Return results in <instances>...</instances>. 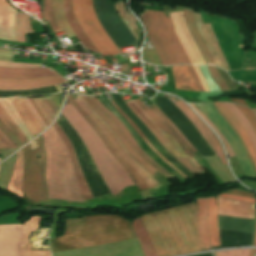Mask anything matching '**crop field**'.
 I'll list each match as a JSON object with an SVG mask.
<instances>
[{
	"label": "crop field",
	"instance_id": "obj_1",
	"mask_svg": "<svg viewBox=\"0 0 256 256\" xmlns=\"http://www.w3.org/2000/svg\"><path fill=\"white\" fill-rule=\"evenodd\" d=\"M158 256L205 250L197 230L196 203L140 216Z\"/></svg>",
	"mask_w": 256,
	"mask_h": 256
},
{
	"label": "crop field",
	"instance_id": "obj_2",
	"mask_svg": "<svg viewBox=\"0 0 256 256\" xmlns=\"http://www.w3.org/2000/svg\"><path fill=\"white\" fill-rule=\"evenodd\" d=\"M127 220L108 215L66 220L64 236L50 239L53 252L134 239Z\"/></svg>",
	"mask_w": 256,
	"mask_h": 256
},
{
	"label": "crop field",
	"instance_id": "obj_3",
	"mask_svg": "<svg viewBox=\"0 0 256 256\" xmlns=\"http://www.w3.org/2000/svg\"><path fill=\"white\" fill-rule=\"evenodd\" d=\"M61 113L82 138L112 194L119 193V191L127 186L135 185L128 173L116 161L95 131L70 103L64 106Z\"/></svg>",
	"mask_w": 256,
	"mask_h": 256
},
{
	"label": "crop field",
	"instance_id": "obj_4",
	"mask_svg": "<svg viewBox=\"0 0 256 256\" xmlns=\"http://www.w3.org/2000/svg\"><path fill=\"white\" fill-rule=\"evenodd\" d=\"M42 136L47 159L46 183L49 198L82 200L70 156L60 135L52 126Z\"/></svg>",
	"mask_w": 256,
	"mask_h": 256
},
{
	"label": "crop field",
	"instance_id": "obj_5",
	"mask_svg": "<svg viewBox=\"0 0 256 256\" xmlns=\"http://www.w3.org/2000/svg\"><path fill=\"white\" fill-rule=\"evenodd\" d=\"M140 16L147 28L148 39L163 65L191 64L169 17H165L163 12L147 9Z\"/></svg>",
	"mask_w": 256,
	"mask_h": 256
},
{
	"label": "crop field",
	"instance_id": "obj_6",
	"mask_svg": "<svg viewBox=\"0 0 256 256\" xmlns=\"http://www.w3.org/2000/svg\"><path fill=\"white\" fill-rule=\"evenodd\" d=\"M126 104L137 115V117L146 125V127L153 133V135L159 140L160 143L163 141H166V139L168 140L166 142H163V144L168 148V150L172 154L181 152V149H182L183 152L174 154V155H172L167 149L166 150L175 159L181 162L190 172L199 173V174H204L206 172L201 167H199L191 157V156H194L193 152L186 146V144L174 132V130L170 127V125L156 111L152 109V107H149V108L145 107L139 99L126 102ZM159 119L173 132V134L176 136V138L180 141V143L183 145V147L187 150V152L190 155L183 150V148L180 146V144L177 142V140L174 138L171 132ZM158 130L170 133L181 149L175 143V141L170 136V134L161 132L166 138L165 139Z\"/></svg>",
	"mask_w": 256,
	"mask_h": 256
},
{
	"label": "crop field",
	"instance_id": "obj_7",
	"mask_svg": "<svg viewBox=\"0 0 256 256\" xmlns=\"http://www.w3.org/2000/svg\"><path fill=\"white\" fill-rule=\"evenodd\" d=\"M39 148L32 151L29 145L23 148L24 172L22 190L24 191V201L38 205V200H47L44 183L45 157L42 147V138L35 139ZM38 154L41 158L38 159Z\"/></svg>",
	"mask_w": 256,
	"mask_h": 256
},
{
	"label": "crop field",
	"instance_id": "obj_8",
	"mask_svg": "<svg viewBox=\"0 0 256 256\" xmlns=\"http://www.w3.org/2000/svg\"><path fill=\"white\" fill-rule=\"evenodd\" d=\"M196 106L215 125V127L228 141L232 150L236 154L245 175L249 177H256V169L253 161L231 123L213 104Z\"/></svg>",
	"mask_w": 256,
	"mask_h": 256
},
{
	"label": "crop field",
	"instance_id": "obj_9",
	"mask_svg": "<svg viewBox=\"0 0 256 256\" xmlns=\"http://www.w3.org/2000/svg\"><path fill=\"white\" fill-rule=\"evenodd\" d=\"M39 217H32L25 226H0V256H26L24 235L26 237L27 256H51L49 251H30L28 235L37 229Z\"/></svg>",
	"mask_w": 256,
	"mask_h": 256
},
{
	"label": "crop field",
	"instance_id": "obj_10",
	"mask_svg": "<svg viewBox=\"0 0 256 256\" xmlns=\"http://www.w3.org/2000/svg\"><path fill=\"white\" fill-rule=\"evenodd\" d=\"M74 14L81 27L100 53L111 51L120 54L112 40L101 27L91 0H72Z\"/></svg>",
	"mask_w": 256,
	"mask_h": 256
},
{
	"label": "crop field",
	"instance_id": "obj_11",
	"mask_svg": "<svg viewBox=\"0 0 256 256\" xmlns=\"http://www.w3.org/2000/svg\"><path fill=\"white\" fill-rule=\"evenodd\" d=\"M94 7L103 28L118 48L138 45L119 19L111 0H94Z\"/></svg>",
	"mask_w": 256,
	"mask_h": 256
},
{
	"label": "crop field",
	"instance_id": "obj_12",
	"mask_svg": "<svg viewBox=\"0 0 256 256\" xmlns=\"http://www.w3.org/2000/svg\"><path fill=\"white\" fill-rule=\"evenodd\" d=\"M67 98L72 103V105L77 109V111L87 120V122L93 127L111 153L115 156V158L120 162V164L126 169V171L130 174L132 179L135 181L139 189H146L141 175L133 169L123 158V156L119 153V151L114 147V145L110 142V140L106 137V135L101 131V129L97 126V124L86 114V112L77 104V102L72 98L70 94H68Z\"/></svg>",
	"mask_w": 256,
	"mask_h": 256
},
{
	"label": "crop field",
	"instance_id": "obj_13",
	"mask_svg": "<svg viewBox=\"0 0 256 256\" xmlns=\"http://www.w3.org/2000/svg\"><path fill=\"white\" fill-rule=\"evenodd\" d=\"M80 106L87 112V114L98 124V126L102 129V131L107 135V137L111 140V142L115 145V147L120 151V153L124 156V158L128 161V163L134 167L143 177L145 180L146 185L148 188H152L157 183L142 167H140L123 149L115 135L111 132V130L104 124V122L90 109L88 108L82 99L78 96L75 99Z\"/></svg>",
	"mask_w": 256,
	"mask_h": 256
},
{
	"label": "crop field",
	"instance_id": "obj_14",
	"mask_svg": "<svg viewBox=\"0 0 256 256\" xmlns=\"http://www.w3.org/2000/svg\"><path fill=\"white\" fill-rule=\"evenodd\" d=\"M191 12L193 14L197 29L214 63L226 70H230L224 58V55L217 43V39L212 31L211 25L203 24L200 15L194 13L192 10Z\"/></svg>",
	"mask_w": 256,
	"mask_h": 256
},
{
	"label": "crop field",
	"instance_id": "obj_15",
	"mask_svg": "<svg viewBox=\"0 0 256 256\" xmlns=\"http://www.w3.org/2000/svg\"><path fill=\"white\" fill-rule=\"evenodd\" d=\"M170 17L175 28L176 34L180 41L182 42L191 63L205 64L199 50L197 49L195 43L193 42L187 30L183 12L170 13Z\"/></svg>",
	"mask_w": 256,
	"mask_h": 256
},
{
	"label": "crop field",
	"instance_id": "obj_16",
	"mask_svg": "<svg viewBox=\"0 0 256 256\" xmlns=\"http://www.w3.org/2000/svg\"><path fill=\"white\" fill-rule=\"evenodd\" d=\"M176 106H178L184 114L189 118V120L194 124V126L198 129L200 134L203 136V138L206 140V142L210 145V147L215 151V153L220 157L223 165H227L221 145L219 141L215 138V136L212 134V132L204 125V123L181 101L175 103Z\"/></svg>",
	"mask_w": 256,
	"mask_h": 256
},
{
	"label": "crop field",
	"instance_id": "obj_17",
	"mask_svg": "<svg viewBox=\"0 0 256 256\" xmlns=\"http://www.w3.org/2000/svg\"><path fill=\"white\" fill-rule=\"evenodd\" d=\"M64 79L60 76H53L43 79H32V80H14V79H0L1 90H21L45 87L55 84L64 83Z\"/></svg>",
	"mask_w": 256,
	"mask_h": 256
},
{
	"label": "crop field",
	"instance_id": "obj_18",
	"mask_svg": "<svg viewBox=\"0 0 256 256\" xmlns=\"http://www.w3.org/2000/svg\"><path fill=\"white\" fill-rule=\"evenodd\" d=\"M113 122L114 124L121 130V132L124 134V136L127 138L133 149L136 151V153L142 157L148 164L156 168L160 171L161 174H163L167 179L173 178L172 175H170L165 169H163L160 165H158L156 162H154L145 152H143L140 147L137 145V143L134 141V139L131 137V135L128 133L126 128L123 126V124L113 115L111 114L101 103L100 101L95 97L91 96L89 97ZM158 171V172H159Z\"/></svg>",
	"mask_w": 256,
	"mask_h": 256
},
{
	"label": "crop field",
	"instance_id": "obj_19",
	"mask_svg": "<svg viewBox=\"0 0 256 256\" xmlns=\"http://www.w3.org/2000/svg\"><path fill=\"white\" fill-rule=\"evenodd\" d=\"M218 215L254 219L255 205L217 198Z\"/></svg>",
	"mask_w": 256,
	"mask_h": 256
},
{
	"label": "crop field",
	"instance_id": "obj_20",
	"mask_svg": "<svg viewBox=\"0 0 256 256\" xmlns=\"http://www.w3.org/2000/svg\"><path fill=\"white\" fill-rule=\"evenodd\" d=\"M93 110L94 112L111 128V130L115 133L117 138L120 140L124 148L127 152L145 169L147 170L152 176L156 172L151 166H149L144 160H142L132 149L129 145L127 140L124 136L120 133L118 128L113 124V122L88 98V97H81Z\"/></svg>",
	"mask_w": 256,
	"mask_h": 256
},
{
	"label": "crop field",
	"instance_id": "obj_21",
	"mask_svg": "<svg viewBox=\"0 0 256 256\" xmlns=\"http://www.w3.org/2000/svg\"><path fill=\"white\" fill-rule=\"evenodd\" d=\"M16 12L6 0H0V39L16 41L15 17Z\"/></svg>",
	"mask_w": 256,
	"mask_h": 256
},
{
	"label": "crop field",
	"instance_id": "obj_22",
	"mask_svg": "<svg viewBox=\"0 0 256 256\" xmlns=\"http://www.w3.org/2000/svg\"><path fill=\"white\" fill-rule=\"evenodd\" d=\"M55 71L50 68L46 69H18L0 67V78H14V79H31L43 78L57 75Z\"/></svg>",
	"mask_w": 256,
	"mask_h": 256
},
{
	"label": "crop field",
	"instance_id": "obj_23",
	"mask_svg": "<svg viewBox=\"0 0 256 256\" xmlns=\"http://www.w3.org/2000/svg\"><path fill=\"white\" fill-rule=\"evenodd\" d=\"M55 129L58 131V133L61 135L66 147H67V150L71 156V160H72V164H73V168H74V172L76 174V177H77V181H78V184H79V188H80V191H81V194H82V197L83 199H90L92 198L91 197V194H90V191H89V188L83 178V175H82V172H81V169H80V166H79V163H78V160L75 156V153H74V150H73V147L69 141V139L66 137V135L63 133V131L60 129V127L57 125V123L55 122L54 125Z\"/></svg>",
	"mask_w": 256,
	"mask_h": 256
},
{
	"label": "crop field",
	"instance_id": "obj_24",
	"mask_svg": "<svg viewBox=\"0 0 256 256\" xmlns=\"http://www.w3.org/2000/svg\"><path fill=\"white\" fill-rule=\"evenodd\" d=\"M11 101L33 137L40 133L43 129L31 113L24 100L22 98H16L11 99Z\"/></svg>",
	"mask_w": 256,
	"mask_h": 256
},
{
	"label": "crop field",
	"instance_id": "obj_25",
	"mask_svg": "<svg viewBox=\"0 0 256 256\" xmlns=\"http://www.w3.org/2000/svg\"><path fill=\"white\" fill-rule=\"evenodd\" d=\"M62 10L67 19L69 26L76 34L78 40L83 44L84 48L98 52L96 48L93 46V44L90 42V40L87 38V36L84 34V32L81 30V28L79 27L74 17L73 11L71 9L70 0H62Z\"/></svg>",
	"mask_w": 256,
	"mask_h": 256
},
{
	"label": "crop field",
	"instance_id": "obj_26",
	"mask_svg": "<svg viewBox=\"0 0 256 256\" xmlns=\"http://www.w3.org/2000/svg\"><path fill=\"white\" fill-rule=\"evenodd\" d=\"M171 68L177 89L199 91L188 66H171Z\"/></svg>",
	"mask_w": 256,
	"mask_h": 256
},
{
	"label": "crop field",
	"instance_id": "obj_27",
	"mask_svg": "<svg viewBox=\"0 0 256 256\" xmlns=\"http://www.w3.org/2000/svg\"><path fill=\"white\" fill-rule=\"evenodd\" d=\"M214 105L224 113V115L230 120L235 129L238 131L256 165V153L246 131L243 129L231 111L222 102L215 103Z\"/></svg>",
	"mask_w": 256,
	"mask_h": 256
},
{
	"label": "crop field",
	"instance_id": "obj_28",
	"mask_svg": "<svg viewBox=\"0 0 256 256\" xmlns=\"http://www.w3.org/2000/svg\"><path fill=\"white\" fill-rule=\"evenodd\" d=\"M198 201V228L206 249L210 247L208 232V210L207 199H197Z\"/></svg>",
	"mask_w": 256,
	"mask_h": 256
},
{
	"label": "crop field",
	"instance_id": "obj_29",
	"mask_svg": "<svg viewBox=\"0 0 256 256\" xmlns=\"http://www.w3.org/2000/svg\"><path fill=\"white\" fill-rule=\"evenodd\" d=\"M254 220L218 216L219 229L252 232Z\"/></svg>",
	"mask_w": 256,
	"mask_h": 256
},
{
	"label": "crop field",
	"instance_id": "obj_30",
	"mask_svg": "<svg viewBox=\"0 0 256 256\" xmlns=\"http://www.w3.org/2000/svg\"><path fill=\"white\" fill-rule=\"evenodd\" d=\"M22 168H23V155L22 151L16 153V164L13 171L12 178L7 187V191L23 198L21 192V181H22Z\"/></svg>",
	"mask_w": 256,
	"mask_h": 256
},
{
	"label": "crop field",
	"instance_id": "obj_31",
	"mask_svg": "<svg viewBox=\"0 0 256 256\" xmlns=\"http://www.w3.org/2000/svg\"><path fill=\"white\" fill-rule=\"evenodd\" d=\"M183 8H184V14H185L188 29H189L197 47H198V49L200 50V52L202 54V56L205 60V63L214 65L213 61L211 60L203 42H202V39H201V37H200L196 27H195L193 17H192V14H191L190 10L188 8L184 7V6H183Z\"/></svg>",
	"mask_w": 256,
	"mask_h": 256
},
{
	"label": "crop field",
	"instance_id": "obj_32",
	"mask_svg": "<svg viewBox=\"0 0 256 256\" xmlns=\"http://www.w3.org/2000/svg\"><path fill=\"white\" fill-rule=\"evenodd\" d=\"M208 210H209V227H210V238L211 245L217 246L220 245L219 241V232L217 225V209H216V199H208Z\"/></svg>",
	"mask_w": 256,
	"mask_h": 256
},
{
	"label": "crop field",
	"instance_id": "obj_33",
	"mask_svg": "<svg viewBox=\"0 0 256 256\" xmlns=\"http://www.w3.org/2000/svg\"><path fill=\"white\" fill-rule=\"evenodd\" d=\"M133 228L135 230V233L138 237V240L140 242V245L145 256H157L139 218L135 219V221L133 222Z\"/></svg>",
	"mask_w": 256,
	"mask_h": 256
},
{
	"label": "crop field",
	"instance_id": "obj_34",
	"mask_svg": "<svg viewBox=\"0 0 256 256\" xmlns=\"http://www.w3.org/2000/svg\"><path fill=\"white\" fill-rule=\"evenodd\" d=\"M115 6L120 18L125 22V24L128 26V28L133 33L135 38L139 41L140 31L135 22L136 19L126 10V8L124 7L125 3L121 0L118 3H116Z\"/></svg>",
	"mask_w": 256,
	"mask_h": 256
},
{
	"label": "crop field",
	"instance_id": "obj_35",
	"mask_svg": "<svg viewBox=\"0 0 256 256\" xmlns=\"http://www.w3.org/2000/svg\"><path fill=\"white\" fill-rule=\"evenodd\" d=\"M34 33L29 16L18 11L16 18V37L17 41L25 42L24 34Z\"/></svg>",
	"mask_w": 256,
	"mask_h": 256
},
{
	"label": "crop field",
	"instance_id": "obj_36",
	"mask_svg": "<svg viewBox=\"0 0 256 256\" xmlns=\"http://www.w3.org/2000/svg\"><path fill=\"white\" fill-rule=\"evenodd\" d=\"M0 104L8 113V115L12 118V120L17 124V126L21 129L24 133L27 140L33 138L31 134L26 129L25 125L23 124L22 120L20 119L18 113L16 112L15 108L13 107L11 101L9 99H0Z\"/></svg>",
	"mask_w": 256,
	"mask_h": 256
},
{
	"label": "crop field",
	"instance_id": "obj_37",
	"mask_svg": "<svg viewBox=\"0 0 256 256\" xmlns=\"http://www.w3.org/2000/svg\"><path fill=\"white\" fill-rule=\"evenodd\" d=\"M53 13L55 15V18L63 30V33L66 35L67 38L74 37L73 32L69 28L63 14L61 11V0H53Z\"/></svg>",
	"mask_w": 256,
	"mask_h": 256
},
{
	"label": "crop field",
	"instance_id": "obj_38",
	"mask_svg": "<svg viewBox=\"0 0 256 256\" xmlns=\"http://www.w3.org/2000/svg\"><path fill=\"white\" fill-rule=\"evenodd\" d=\"M0 120L4 123V125L13 133V135L22 143H26V139L20 129L16 126V124L11 120V118L7 115V113L0 106Z\"/></svg>",
	"mask_w": 256,
	"mask_h": 256
},
{
	"label": "crop field",
	"instance_id": "obj_39",
	"mask_svg": "<svg viewBox=\"0 0 256 256\" xmlns=\"http://www.w3.org/2000/svg\"><path fill=\"white\" fill-rule=\"evenodd\" d=\"M232 112L233 114L237 117V119L239 120V122L242 124V126L245 128V130L248 132L250 139L256 149V135L253 131V129L251 128L249 122L246 120V118L240 113V111L236 108L235 105L233 104H228V103H224Z\"/></svg>",
	"mask_w": 256,
	"mask_h": 256
},
{
	"label": "crop field",
	"instance_id": "obj_40",
	"mask_svg": "<svg viewBox=\"0 0 256 256\" xmlns=\"http://www.w3.org/2000/svg\"><path fill=\"white\" fill-rule=\"evenodd\" d=\"M43 19L48 20L54 33L61 31L52 13V0H44Z\"/></svg>",
	"mask_w": 256,
	"mask_h": 256
},
{
	"label": "crop field",
	"instance_id": "obj_41",
	"mask_svg": "<svg viewBox=\"0 0 256 256\" xmlns=\"http://www.w3.org/2000/svg\"><path fill=\"white\" fill-rule=\"evenodd\" d=\"M117 110L127 119V121L137 130V132L140 134V136L144 139V141L147 143V145L159 156L161 157L168 165H170L172 168H174L177 172H179L185 179H188L185 177L180 171H178L170 162H168L148 141L147 139L142 135V133L138 130V128L135 126V124L122 112V110L118 107V105L114 102V100L110 101ZM135 130V131H136Z\"/></svg>",
	"mask_w": 256,
	"mask_h": 256
},
{
	"label": "crop field",
	"instance_id": "obj_42",
	"mask_svg": "<svg viewBox=\"0 0 256 256\" xmlns=\"http://www.w3.org/2000/svg\"><path fill=\"white\" fill-rule=\"evenodd\" d=\"M203 77L205 78L208 86H209V90L210 92L212 91H220L219 88H218V85L214 82V80L211 78L209 72H208V69L206 66H198Z\"/></svg>",
	"mask_w": 256,
	"mask_h": 256
},
{
	"label": "crop field",
	"instance_id": "obj_43",
	"mask_svg": "<svg viewBox=\"0 0 256 256\" xmlns=\"http://www.w3.org/2000/svg\"><path fill=\"white\" fill-rule=\"evenodd\" d=\"M212 78L219 85L222 91L230 90L227 84L224 82L218 71L213 66H207Z\"/></svg>",
	"mask_w": 256,
	"mask_h": 256
},
{
	"label": "crop field",
	"instance_id": "obj_44",
	"mask_svg": "<svg viewBox=\"0 0 256 256\" xmlns=\"http://www.w3.org/2000/svg\"><path fill=\"white\" fill-rule=\"evenodd\" d=\"M236 106L242 112V114L249 120L251 126L253 127V129H254V131L256 133V117L252 113L251 109L246 108L244 106H240V105H236Z\"/></svg>",
	"mask_w": 256,
	"mask_h": 256
},
{
	"label": "crop field",
	"instance_id": "obj_45",
	"mask_svg": "<svg viewBox=\"0 0 256 256\" xmlns=\"http://www.w3.org/2000/svg\"><path fill=\"white\" fill-rule=\"evenodd\" d=\"M145 50H143V59L145 61L157 64V65H162L156 52L154 51V49L147 51L146 48H144Z\"/></svg>",
	"mask_w": 256,
	"mask_h": 256
},
{
	"label": "crop field",
	"instance_id": "obj_46",
	"mask_svg": "<svg viewBox=\"0 0 256 256\" xmlns=\"http://www.w3.org/2000/svg\"><path fill=\"white\" fill-rule=\"evenodd\" d=\"M0 148L15 149L17 146L0 130Z\"/></svg>",
	"mask_w": 256,
	"mask_h": 256
},
{
	"label": "crop field",
	"instance_id": "obj_47",
	"mask_svg": "<svg viewBox=\"0 0 256 256\" xmlns=\"http://www.w3.org/2000/svg\"><path fill=\"white\" fill-rule=\"evenodd\" d=\"M16 203L13 202L10 197H0V213L4 210L15 208Z\"/></svg>",
	"mask_w": 256,
	"mask_h": 256
},
{
	"label": "crop field",
	"instance_id": "obj_48",
	"mask_svg": "<svg viewBox=\"0 0 256 256\" xmlns=\"http://www.w3.org/2000/svg\"><path fill=\"white\" fill-rule=\"evenodd\" d=\"M191 105H192V106L195 108V110L207 121V123L215 130V132L222 138V140H223V142H224V144H225V146H226V148H227L228 155H229V156L234 155V153H233V151L231 150L229 144H228L227 141L222 137L221 133L213 126V124H212L201 112H199V111L196 109V107L194 106V104H191Z\"/></svg>",
	"mask_w": 256,
	"mask_h": 256
},
{
	"label": "crop field",
	"instance_id": "obj_49",
	"mask_svg": "<svg viewBox=\"0 0 256 256\" xmlns=\"http://www.w3.org/2000/svg\"><path fill=\"white\" fill-rule=\"evenodd\" d=\"M40 99L44 103V105L47 107V109L49 110L51 115L55 118L59 110L54 105V103L51 101V99L49 97H47V98H40Z\"/></svg>",
	"mask_w": 256,
	"mask_h": 256
},
{
	"label": "crop field",
	"instance_id": "obj_50",
	"mask_svg": "<svg viewBox=\"0 0 256 256\" xmlns=\"http://www.w3.org/2000/svg\"><path fill=\"white\" fill-rule=\"evenodd\" d=\"M218 197L255 204V199L248 198V197H243V196H237V195H231V194H223V195L218 196Z\"/></svg>",
	"mask_w": 256,
	"mask_h": 256
},
{
	"label": "crop field",
	"instance_id": "obj_51",
	"mask_svg": "<svg viewBox=\"0 0 256 256\" xmlns=\"http://www.w3.org/2000/svg\"><path fill=\"white\" fill-rule=\"evenodd\" d=\"M249 250H235L228 252L215 253L216 256H249Z\"/></svg>",
	"mask_w": 256,
	"mask_h": 256
},
{
	"label": "crop field",
	"instance_id": "obj_52",
	"mask_svg": "<svg viewBox=\"0 0 256 256\" xmlns=\"http://www.w3.org/2000/svg\"><path fill=\"white\" fill-rule=\"evenodd\" d=\"M0 66L40 68V67H41V64H32V63H10V62H2V61H0Z\"/></svg>",
	"mask_w": 256,
	"mask_h": 256
},
{
	"label": "crop field",
	"instance_id": "obj_53",
	"mask_svg": "<svg viewBox=\"0 0 256 256\" xmlns=\"http://www.w3.org/2000/svg\"><path fill=\"white\" fill-rule=\"evenodd\" d=\"M161 116H163L166 121L171 125V127L181 136V138L185 141V143L188 145V147L195 153L197 152L193 146L184 138V136L179 132V130L174 126V124L167 118L165 117L159 110L158 108L154 105L152 106Z\"/></svg>",
	"mask_w": 256,
	"mask_h": 256
},
{
	"label": "crop field",
	"instance_id": "obj_54",
	"mask_svg": "<svg viewBox=\"0 0 256 256\" xmlns=\"http://www.w3.org/2000/svg\"><path fill=\"white\" fill-rule=\"evenodd\" d=\"M0 128L3 130V132L20 148L22 145L20 142L12 135V133L3 125V123L0 121Z\"/></svg>",
	"mask_w": 256,
	"mask_h": 256
},
{
	"label": "crop field",
	"instance_id": "obj_55",
	"mask_svg": "<svg viewBox=\"0 0 256 256\" xmlns=\"http://www.w3.org/2000/svg\"><path fill=\"white\" fill-rule=\"evenodd\" d=\"M27 105L29 106V108L31 109V111L33 112L34 116L36 117V119L39 121V123L43 126V128L45 129L47 126L46 124L43 122V120L41 119V117L39 116V114L36 112V110L34 109L33 105L31 104V102L29 101V99H25Z\"/></svg>",
	"mask_w": 256,
	"mask_h": 256
},
{
	"label": "crop field",
	"instance_id": "obj_56",
	"mask_svg": "<svg viewBox=\"0 0 256 256\" xmlns=\"http://www.w3.org/2000/svg\"><path fill=\"white\" fill-rule=\"evenodd\" d=\"M13 51L0 49V60L2 61H11Z\"/></svg>",
	"mask_w": 256,
	"mask_h": 256
},
{
	"label": "crop field",
	"instance_id": "obj_57",
	"mask_svg": "<svg viewBox=\"0 0 256 256\" xmlns=\"http://www.w3.org/2000/svg\"><path fill=\"white\" fill-rule=\"evenodd\" d=\"M31 102L33 103V105L36 107V109L38 110V112L40 113V115L42 116L43 120L45 121V123L47 124V126L51 123L50 120L47 118V116L45 115V113L42 111V109L39 107V105L37 104V102L34 100V98H30Z\"/></svg>",
	"mask_w": 256,
	"mask_h": 256
},
{
	"label": "crop field",
	"instance_id": "obj_58",
	"mask_svg": "<svg viewBox=\"0 0 256 256\" xmlns=\"http://www.w3.org/2000/svg\"><path fill=\"white\" fill-rule=\"evenodd\" d=\"M193 67H194V69H195V71H196V73H197V75H198V77H199V80H200V82H201V84H202L204 90L207 91V92H209L208 89H207V84H206L204 78L202 77V75H201V73H200L198 67H197V66H193Z\"/></svg>",
	"mask_w": 256,
	"mask_h": 256
},
{
	"label": "crop field",
	"instance_id": "obj_59",
	"mask_svg": "<svg viewBox=\"0 0 256 256\" xmlns=\"http://www.w3.org/2000/svg\"><path fill=\"white\" fill-rule=\"evenodd\" d=\"M227 192L228 193H234V194H237V195H243V196H248V197L256 198V196L254 194H250V193H247V192L236 191V190H229Z\"/></svg>",
	"mask_w": 256,
	"mask_h": 256
},
{
	"label": "crop field",
	"instance_id": "obj_60",
	"mask_svg": "<svg viewBox=\"0 0 256 256\" xmlns=\"http://www.w3.org/2000/svg\"><path fill=\"white\" fill-rule=\"evenodd\" d=\"M35 100L38 102V104L40 105V107L43 109V111L46 113V115L48 116V118L51 120V122L54 120L51 115L48 113V111L46 110L45 106L42 104V102L39 100V98H35Z\"/></svg>",
	"mask_w": 256,
	"mask_h": 256
},
{
	"label": "crop field",
	"instance_id": "obj_61",
	"mask_svg": "<svg viewBox=\"0 0 256 256\" xmlns=\"http://www.w3.org/2000/svg\"><path fill=\"white\" fill-rule=\"evenodd\" d=\"M190 68H191V70H192V72H193V75H194V77H195V79H196V82H197V84H198V86H199L200 91H203V89H202V87H201V84H200V82H199V80H198V77H197V75H196L194 69L192 68V66H190Z\"/></svg>",
	"mask_w": 256,
	"mask_h": 256
},
{
	"label": "crop field",
	"instance_id": "obj_62",
	"mask_svg": "<svg viewBox=\"0 0 256 256\" xmlns=\"http://www.w3.org/2000/svg\"><path fill=\"white\" fill-rule=\"evenodd\" d=\"M29 145L31 147V150H34V149L38 148L35 141H32L31 143H29Z\"/></svg>",
	"mask_w": 256,
	"mask_h": 256
},
{
	"label": "crop field",
	"instance_id": "obj_63",
	"mask_svg": "<svg viewBox=\"0 0 256 256\" xmlns=\"http://www.w3.org/2000/svg\"><path fill=\"white\" fill-rule=\"evenodd\" d=\"M231 101H232V102H237V103H241V104L246 105L245 102H244V100H233V99H231Z\"/></svg>",
	"mask_w": 256,
	"mask_h": 256
},
{
	"label": "crop field",
	"instance_id": "obj_64",
	"mask_svg": "<svg viewBox=\"0 0 256 256\" xmlns=\"http://www.w3.org/2000/svg\"><path fill=\"white\" fill-rule=\"evenodd\" d=\"M51 99H52L53 102L56 104V106L59 108L60 105H59V103L57 102V100L54 98V96H51Z\"/></svg>",
	"mask_w": 256,
	"mask_h": 256
},
{
	"label": "crop field",
	"instance_id": "obj_65",
	"mask_svg": "<svg viewBox=\"0 0 256 256\" xmlns=\"http://www.w3.org/2000/svg\"><path fill=\"white\" fill-rule=\"evenodd\" d=\"M250 256H256V249H251Z\"/></svg>",
	"mask_w": 256,
	"mask_h": 256
},
{
	"label": "crop field",
	"instance_id": "obj_66",
	"mask_svg": "<svg viewBox=\"0 0 256 256\" xmlns=\"http://www.w3.org/2000/svg\"><path fill=\"white\" fill-rule=\"evenodd\" d=\"M253 246H256V225H255V235H254V244Z\"/></svg>",
	"mask_w": 256,
	"mask_h": 256
},
{
	"label": "crop field",
	"instance_id": "obj_67",
	"mask_svg": "<svg viewBox=\"0 0 256 256\" xmlns=\"http://www.w3.org/2000/svg\"><path fill=\"white\" fill-rule=\"evenodd\" d=\"M0 46H4V44H1V43H0Z\"/></svg>",
	"mask_w": 256,
	"mask_h": 256
},
{
	"label": "crop field",
	"instance_id": "obj_68",
	"mask_svg": "<svg viewBox=\"0 0 256 256\" xmlns=\"http://www.w3.org/2000/svg\"><path fill=\"white\" fill-rule=\"evenodd\" d=\"M254 111H255V113H256V109H253Z\"/></svg>",
	"mask_w": 256,
	"mask_h": 256
},
{
	"label": "crop field",
	"instance_id": "obj_69",
	"mask_svg": "<svg viewBox=\"0 0 256 256\" xmlns=\"http://www.w3.org/2000/svg\"><path fill=\"white\" fill-rule=\"evenodd\" d=\"M0 161H1V158H0Z\"/></svg>",
	"mask_w": 256,
	"mask_h": 256
},
{
	"label": "crop field",
	"instance_id": "obj_70",
	"mask_svg": "<svg viewBox=\"0 0 256 256\" xmlns=\"http://www.w3.org/2000/svg\"><path fill=\"white\" fill-rule=\"evenodd\" d=\"M0 153H1V151H0Z\"/></svg>",
	"mask_w": 256,
	"mask_h": 256
},
{
	"label": "crop field",
	"instance_id": "obj_71",
	"mask_svg": "<svg viewBox=\"0 0 256 256\" xmlns=\"http://www.w3.org/2000/svg\"><path fill=\"white\" fill-rule=\"evenodd\" d=\"M1 166V165H0Z\"/></svg>",
	"mask_w": 256,
	"mask_h": 256
}]
</instances>
